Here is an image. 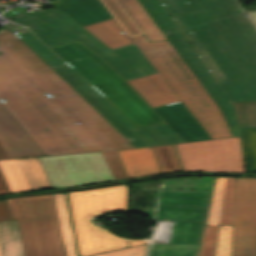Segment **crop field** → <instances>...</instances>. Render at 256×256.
Segmentation results:
<instances>
[{"instance_id": "22", "label": "crop field", "mask_w": 256, "mask_h": 256, "mask_svg": "<svg viewBox=\"0 0 256 256\" xmlns=\"http://www.w3.org/2000/svg\"><path fill=\"white\" fill-rule=\"evenodd\" d=\"M66 256H76L65 193L53 194Z\"/></svg>"}, {"instance_id": "31", "label": "crop field", "mask_w": 256, "mask_h": 256, "mask_svg": "<svg viewBox=\"0 0 256 256\" xmlns=\"http://www.w3.org/2000/svg\"><path fill=\"white\" fill-rule=\"evenodd\" d=\"M115 179L128 178L117 151L102 152Z\"/></svg>"}, {"instance_id": "30", "label": "crop field", "mask_w": 256, "mask_h": 256, "mask_svg": "<svg viewBox=\"0 0 256 256\" xmlns=\"http://www.w3.org/2000/svg\"><path fill=\"white\" fill-rule=\"evenodd\" d=\"M233 226H220L215 256H230Z\"/></svg>"}, {"instance_id": "36", "label": "crop field", "mask_w": 256, "mask_h": 256, "mask_svg": "<svg viewBox=\"0 0 256 256\" xmlns=\"http://www.w3.org/2000/svg\"><path fill=\"white\" fill-rule=\"evenodd\" d=\"M246 16L248 17V19L250 20L251 24L253 25V27L256 30V12L247 13Z\"/></svg>"}, {"instance_id": "17", "label": "crop field", "mask_w": 256, "mask_h": 256, "mask_svg": "<svg viewBox=\"0 0 256 256\" xmlns=\"http://www.w3.org/2000/svg\"><path fill=\"white\" fill-rule=\"evenodd\" d=\"M152 107L178 102L158 73L127 81Z\"/></svg>"}, {"instance_id": "3", "label": "crop field", "mask_w": 256, "mask_h": 256, "mask_svg": "<svg viewBox=\"0 0 256 256\" xmlns=\"http://www.w3.org/2000/svg\"><path fill=\"white\" fill-rule=\"evenodd\" d=\"M100 1L210 138L232 136L218 106L167 42L141 4L137 0Z\"/></svg>"}, {"instance_id": "37", "label": "crop field", "mask_w": 256, "mask_h": 256, "mask_svg": "<svg viewBox=\"0 0 256 256\" xmlns=\"http://www.w3.org/2000/svg\"><path fill=\"white\" fill-rule=\"evenodd\" d=\"M7 159L6 155L4 154L3 150L0 147V160Z\"/></svg>"}, {"instance_id": "24", "label": "crop field", "mask_w": 256, "mask_h": 256, "mask_svg": "<svg viewBox=\"0 0 256 256\" xmlns=\"http://www.w3.org/2000/svg\"><path fill=\"white\" fill-rule=\"evenodd\" d=\"M247 171H256V127H239Z\"/></svg>"}, {"instance_id": "7", "label": "crop field", "mask_w": 256, "mask_h": 256, "mask_svg": "<svg viewBox=\"0 0 256 256\" xmlns=\"http://www.w3.org/2000/svg\"><path fill=\"white\" fill-rule=\"evenodd\" d=\"M70 86L87 100L136 148L184 142L166 123L136 127L97 90L85 82L68 65L53 68Z\"/></svg>"}, {"instance_id": "35", "label": "crop field", "mask_w": 256, "mask_h": 256, "mask_svg": "<svg viewBox=\"0 0 256 256\" xmlns=\"http://www.w3.org/2000/svg\"><path fill=\"white\" fill-rule=\"evenodd\" d=\"M146 242L143 239H139V240H127V248L129 247H133V246H137V245H141V244H145Z\"/></svg>"}, {"instance_id": "20", "label": "crop field", "mask_w": 256, "mask_h": 256, "mask_svg": "<svg viewBox=\"0 0 256 256\" xmlns=\"http://www.w3.org/2000/svg\"><path fill=\"white\" fill-rule=\"evenodd\" d=\"M83 28L112 49L133 44V41L126 33H120L124 29L122 30L114 18L83 26Z\"/></svg>"}, {"instance_id": "38", "label": "crop field", "mask_w": 256, "mask_h": 256, "mask_svg": "<svg viewBox=\"0 0 256 256\" xmlns=\"http://www.w3.org/2000/svg\"><path fill=\"white\" fill-rule=\"evenodd\" d=\"M0 256H2L1 244H0Z\"/></svg>"}, {"instance_id": "1", "label": "crop field", "mask_w": 256, "mask_h": 256, "mask_svg": "<svg viewBox=\"0 0 256 256\" xmlns=\"http://www.w3.org/2000/svg\"><path fill=\"white\" fill-rule=\"evenodd\" d=\"M163 35L220 107L233 136L238 135L229 102L256 101V31L234 0H187L189 27L227 80L215 82L189 47L159 0H138ZM172 31L166 35V30Z\"/></svg>"}, {"instance_id": "6", "label": "crop field", "mask_w": 256, "mask_h": 256, "mask_svg": "<svg viewBox=\"0 0 256 256\" xmlns=\"http://www.w3.org/2000/svg\"><path fill=\"white\" fill-rule=\"evenodd\" d=\"M5 201L18 220L26 256H65L52 194Z\"/></svg>"}, {"instance_id": "10", "label": "crop field", "mask_w": 256, "mask_h": 256, "mask_svg": "<svg viewBox=\"0 0 256 256\" xmlns=\"http://www.w3.org/2000/svg\"><path fill=\"white\" fill-rule=\"evenodd\" d=\"M38 158L52 187L113 179L100 152Z\"/></svg>"}, {"instance_id": "13", "label": "crop field", "mask_w": 256, "mask_h": 256, "mask_svg": "<svg viewBox=\"0 0 256 256\" xmlns=\"http://www.w3.org/2000/svg\"><path fill=\"white\" fill-rule=\"evenodd\" d=\"M95 89L134 124L143 126L164 121L125 80Z\"/></svg>"}, {"instance_id": "16", "label": "crop field", "mask_w": 256, "mask_h": 256, "mask_svg": "<svg viewBox=\"0 0 256 256\" xmlns=\"http://www.w3.org/2000/svg\"><path fill=\"white\" fill-rule=\"evenodd\" d=\"M154 109L185 142L210 139L181 102Z\"/></svg>"}, {"instance_id": "5", "label": "crop field", "mask_w": 256, "mask_h": 256, "mask_svg": "<svg viewBox=\"0 0 256 256\" xmlns=\"http://www.w3.org/2000/svg\"><path fill=\"white\" fill-rule=\"evenodd\" d=\"M68 195L80 256L126 248V239L93 225L91 219L101 213L126 212L127 184Z\"/></svg>"}, {"instance_id": "29", "label": "crop field", "mask_w": 256, "mask_h": 256, "mask_svg": "<svg viewBox=\"0 0 256 256\" xmlns=\"http://www.w3.org/2000/svg\"><path fill=\"white\" fill-rule=\"evenodd\" d=\"M219 226H205L199 256H214Z\"/></svg>"}, {"instance_id": "21", "label": "crop field", "mask_w": 256, "mask_h": 256, "mask_svg": "<svg viewBox=\"0 0 256 256\" xmlns=\"http://www.w3.org/2000/svg\"><path fill=\"white\" fill-rule=\"evenodd\" d=\"M3 256H25L17 221L0 222Z\"/></svg>"}, {"instance_id": "15", "label": "crop field", "mask_w": 256, "mask_h": 256, "mask_svg": "<svg viewBox=\"0 0 256 256\" xmlns=\"http://www.w3.org/2000/svg\"><path fill=\"white\" fill-rule=\"evenodd\" d=\"M0 145L8 159L44 154L1 104Z\"/></svg>"}, {"instance_id": "8", "label": "crop field", "mask_w": 256, "mask_h": 256, "mask_svg": "<svg viewBox=\"0 0 256 256\" xmlns=\"http://www.w3.org/2000/svg\"><path fill=\"white\" fill-rule=\"evenodd\" d=\"M174 145L184 170L244 171L239 136Z\"/></svg>"}, {"instance_id": "27", "label": "crop field", "mask_w": 256, "mask_h": 256, "mask_svg": "<svg viewBox=\"0 0 256 256\" xmlns=\"http://www.w3.org/2000/svg\"><path fill=\"white\" fill-rule=\"evenodd\" d=\"M225 177H217L206 225H219Z\"/></svg>"}, {"instance_id": "23", "label": "crop field", "mask_w": 256, "mask_h": 256, "mask_svg": "<svg viewBox=\"0 0 256 256\" xmlns=\"http://www.w3.org/2000/svg\"><path fill=\"white\" fill-rule=\"evenodd\" d=\"M15 34L20 39H22L51 68L65 65V63L58 56H56L46 45H44L25 27H22Z\"/></svg>"}, {"instance_id": "18", "label": "crop field", "mask_w": 256, "mask_h": 256, "mask_svg": "<svg viewBox=\"0 0 256 256\" xmlns=\"http://www.w3.org/2000/svg\"><path fill=\"white\" fill-rule=\"evenodd\" d=\"M56 10L65 12L81 26L112 18L99 0H68Z\"/></svg>"}, {"instance_id": "28", "label": "crop field", "mask_w": 256, "mask_h": 256, "mask_svg": "<svg viewBox=\"0 0 256 256\" xmlns=\"http://www.w3.org/2000/svg\"><path fill=\"white\" fill-rule=\"evenodd\" d=\"M239 126H256V102L234 103Z\"/></svg>"}, {"instance_id": "32", "label": "crop field", "mask_w": 256, "mask_h": 256, "mask_svg": "<svg viewBox=\"0 0 256 256\" xmlns=\"http://www.w3.org/2000/svg\"><path fill=\"white\" fill-rule=\"evenodd\" d=\"M146 248H147V244L129 248V249L113 251V252H108V253H103V254H98L93 256H145Z\"/></svg>"}, {"instance_id": "34", "label": "crop field", "mask_w": 256, "mask_h": 256, "mask_svg": "<svg viewBox=\"0 0 256 256\" xmlns=\"http://www.w3.org/2000/svg\"><path fill=\"white\" fill-rule=\"evenodd\" d=\"M10 193L0 172V195Z\"/></svg>"}, {"instance_id": "33", "label": "crop field", "mask_w": 256, "mask_h": 256, "mask_svg": "<svg viewBox=\"0 0 256 256\" xmlns=\"http://www.w3.org/2000/svg\"><path fill=\"white\" fill-rule=\"evenodd\" d=\"M12 220L4 200L0 201V221Z\"/></svg>"}, {"instance_id": "19", "label": "crop field", "mask_w": 256, "mask_h": 256, "mask_svg": "<svg viewBox=\"0 0 256 256\" xmlns=\"http://www.w3.org/2000/svg\"><path fill=\"white\" fill-rule=\"evenodd\" d=\"M118 152L129 178L160 173L150 147Z\"/></svg>"}, {"instance_id": "14", "label": "crop field", "mask_w": 256, "mask_h": 256, "mask_svg": "<svg viewBox=\"0 0 256 256\" xmlns=\"http://www.w3.org/2000/svg\"><path fill=\"white\" fill-rule=\"evenodd\" d=\"M0 169L11 193L50 187L37 157L3 160Z\"/></svg>"}, {"instance_id": "11", "label": "crop field", "mask_w": 256, "mask_h": 256, "mask_svg": "<svg viewBox=\"0 0 256 256\" xmlns=\"http://www.w3.org/2000/svg\"><path fill=\"white\" fill-rule=\"evenodd\" d=\"M231 256H256V178H236Z\"/></svg>"}, {"instance_id": "12", "label": "crop field", "mask_w": 256, "mask_h": 256, "mask_svg": "<svg viewBox=\"0 0 256 256\" xmlns=\"http://www.w3.org/2000/svg\"><path fill=\"white\" fill-rule=\"evenodd\" d=\"M51 49L92 87L123 80L108 63L79 41Z\"/></svg>"}, {"instance_id": "26", "label": "crop field", "mask_w": 256, "mask_h": 256, "mask_svg": "<svg viewBox=\"0 0 256 256\" xmlns=\"http://www.w3.org/2000/svg\"><path fill=\"white\" fill-rule=\"evenodd\" d=\"M234 183L235 178H226L220 225H233Z\"/></svg>"}, {"instance_id": "25", "label": "crop field", "mask_w": 256, "mask_h": 256, "mask_svg": "<svg viewBox=\"0 0 256 256\" xmlns=\"http://www.w3.org/2000/svg\"><path fill=\"white\" fill-rule=\"evenodd\" d=\"M151 148L157 159L161 173L183 170L173 144Z\"/></svg>"}, {"instance_id": "9", "label": "crop field", "mask_w": 256, "mask_h": 256, "mask_svg": "<svg viewBox=\"0 0 256 256\" xmlns=\"http://www.w3.org/2000/svg\"><path fill=\"white\" fill-rule=\"evenodd\" d=\"M1 98L6 103H0L46 155L74 153L0 72Z\"/></svg>"}, {"instance_id": "4", "label": "crop field", "mask_w": 256, "mask_h": 256, "mask_svg": "<svg viewBox=\"0 0 256 256\" xmlns=\"http://www.w3.org/2000/svg\"><path fill=\"white\" fill-rule=\"evenodd\" d=\"M12 11L3 16L27 26L49 47L79 40L107 60L126 80L157 71L136 44L112 50L63 12L54 9ZM138 53L142 55L138 56Z\"/></svg>"}, {"instance_id": "2", "label": "crop field", "mask_w": 256, "mask_h": 256, "mask_svg": "<svg viewBox=\"0 0 256 256\" xmlns=\"http://www.w3.org/2000/svg\"><path fill=\"white\" fill-rule=\"evenodd\" d=\"M0 52L2 73L75 153L135 148L23 41L6 29L0 30ZM76 122L79 124L75 125Z\"/></svg>"}]
</instances>
